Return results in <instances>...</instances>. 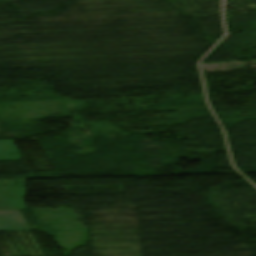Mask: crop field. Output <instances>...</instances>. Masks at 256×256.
Wrapping results in <instances>:
<instances>
[{
	"mask_svg": "<svg viewBox=\"0 0 256 256\" xmlns=\"http://www.w3.org/2000/svg\"><path fill=\"white\" fill-rule=\"evenodd\" d=\"M30 230L20 211H0V231Z\"/></svg>",
	"mask_w": 256,
	"mask_h": 256,
	"instance_id": "obj_2",
	"label": "crop field"
},
{
	"mask_svg": "<svg viewBox=\"0 0 256 256\" xmlns=\"http://www.w3.org/2000/svg\"><path fill=\"white\" fill-rule=\"evenodd\" d=\"M24 188H0V210L26 209L23 203Z\"/></svg>",
	"mask_w": 256,
	"mask_h": 256,
	"instance_id": "obj_1",
	"label": "crop field"
}]
</instances>
